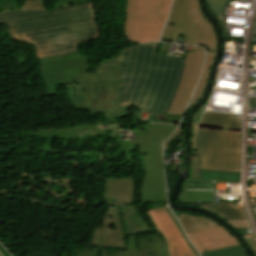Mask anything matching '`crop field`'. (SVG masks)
<instances>
[{
  "mask_svg": "<svg viewBox=\"0 0 256 256\" xmlns=\"http://www.w3.org/2000/svg\"><path fill=\"white\" fill-rule=\"evenodd\" d=\"M182 131L183 127L179 126V128L174 132V134L167 140V142L164 144V154L171 147L172 142H174L176 138L180 137Z\"/></svg>",
  "mask_w": 256,
  "mask_h": 256,
  "instance_id": "23",
  "label": "crop field"
},
{
  "mask_svg": "<svg viewBox=\"0 0 256 256\" xmlns=\"http://www.w3.org/2000/svg\"><path fill=\"white\" fill-rule=\"evenodd\" d=\"M204 49L192 46L191 52L187 53L186 64L179 86L194 87L203 64Z\"/></svg>",
  "mask_w": 256,
  "mask_h": 256,
  "instance_id": "13",
  "label": "crop field"
},
{
  "mask_svg": "<svg viewBox=\"0 0 256 256\" xmlns=\"http://www.w3.org/2000/svg\"><path fill=\"white\" fill-rule=\"evenodd\" d=\"M179 220L186 233L218 226L217 223L211 220L195 216H189L186 214H181Z\"/></svg>",
  "mask_w": 256,
  "mask_h": 256,
  "instance_id": "18",
  "label": "crop field"
},
{
  "mask_svg": "<svg viewBox=\"0 0 256 256\" xmlns=\"http://www.w3.org/2000/svg\"><path fill=\"white\" fill-rule=\"evenodd\" d=\"M21 9H46L43 0H26Z\"/></svg>",
  "mask_w": 256,
  "mask_h": 256,
  "instance_id": "22",
  "label": "crop field"
},
{
  "mask_svg": "<svg viewBox=\"0 0 256 256\" xmlns=\"http://www.w3.org/2000/svg\"><path fill=\"white\" fill-rule=\"evenodd\" d=\"M201 256H247L241 245L201 253Z\"/></svg>",
  "mask_w": 256,
  "mask_h": 256,
  "instance_id": "21",
  "label": "crop field"
},
{
  "mask_svg": "<svg viewBox=\"0 0 256 256\" xmlns=\"http://www.w3.org/2000/svg\"><path fill=\"white\" fill-rule=\"evenodd\" d=\"M94 68L99 71L97 74L87 72L65 84L70 105L77 110L104 114L105 120L125 115L131 107H120L118 53Z\"/></svg>",
  "mask_w": 256,
  "mask_h": 256,
  "instance_id": "4",
  "label": "crop field"
},
{
  "mask_svg": "<svg viewBox=\"0 0 256 256\" xmlns=\"http://www.w3.org/2000/svg\"><path fill=\"white\" fill-rule=\"evenodd\" d=\"M0 23L8 24L13 38L34 46L37 60L79 50V44L99 39L101 33L92 3L52 11L0 12Z\"/></svg>",
  "mask_w": 256,
  "mask_h": 256,
  "instance_id": "1",
  "label": "crop field"
},
{
  "mask_svg": "<svg viewBox=\"0 0 256 256\" xmlns=\"http://www.w3.org/2000/svg\"><path fill=\"white\" fill-rule=\"evenodd\" d=\"M179 34L184 35V45L199 44L216 52L215 31L203 17L198 0H175L161 40L174 43Z\"/></svg>",
  "mask_w": 256,
  "mask_h": 256,
  "instance_id": "6",
  "label": "crop field"
},
{
  "mask_svg": "<svg viewBox=\"0 0 256 256\" xmlns=\"http://www.w3.org/2000/svg\"><path fill=\"white\" fill-rule=\"evenodd\" d=\"M192 160H193V165H192L190 178L199 179V170H200L199 157H192Z\"/></svg>",
  "mask_w": 256,
  "mask_h": 256,
  "instance_id": "24",
  "label": "crop field"
},
{
  "mask_svg": "<svg viewBox=\"0 0 256 256\" xmlns=\"http://www.w3.org/2000/svg\"><path fill=\"white\" fill-rule=\"evenodd\" d=\"M175 127L176 125L153 123L139 130L140 141L137 150L144 164L142 202L166 201L161 144Z\"/></svg>",
  "mask_w": 256,
  "mask_h": 256,
  "instance_id": "5",
  "label": "crop field"
},
{
  "mask_svg": "<svg viewBox=\"0 0 256 256\" xmlns=\"http://www.w3.org/2000/svg\"><path fill=\"white\" fill-rule=\"evenodd\" d=\"M165 208H166V211H167V213L169 214V216H170V217L172 218V220L174 221L176 227L178 228V230H179V231L181 232V234L183 235V237H184V239L186 240L188 246L191 248V250L194 252V254H195L196 256H199V255L196 253V251L193 249V247L190 245V243L188 242V240H187V238H186L184 232L182 231V229H181V227L179 226L178 222L176 221L175 217L171 214L169 208L166 207V206H165Z\"/></svg>",
  "mask_w": 256,
  "mask_h": 256,
  "instance_id": "27",
  "label": "crop field"
},
{
  "mask_svg": "<svg viewBox=\"0 0 256 256\" xmlns=\"http://www.w3.org/2000/svg\"><path fill=\"white\" fill-rule=\"evenodd\" d=\"M193 89L194 88H188V87L178 88L177 95L167 113L166 120L180 122V119L184 113L186 104L190 99Z\"/></svg>",
  "mask_w": 256,
  "mask_h": 256,
  "instance_id": "15",
  "label": "crop field"
},
{
  "mask_svg": "<svg viewBox=\"0 0 256 256\" xmlns=\"http://www.w3.org/2000/svg\"><path fill=\"white\" fill-rule=\"evenodd\" d=\"M157 51L158 43H148L119 52L121 106L167 113L177 92L185 59Z\"/></svg>",
  "mask_w": 256,
  "mask_h": 256,
  "instance_id": "2",
  "label": "crop field"
},
{
  "mask_svg": "<svg viewBox=\"0 0 256 256\" xmlns=\"http://www.w3.org/2000/svg\"><path fill=\"white\" fill-rule=\"evenodd\" d=\"M127 250L115 253H106L102 247L93 246L89 250L79 252L78 256H166V245L158 234L150 235L149 238L139 240L138 245H134V238H130ZM72 245H69L63 256H68Z\"/></svg>",
  "mask_w": 256,
  "mask_h": 256,
  "instance_id": "11",
  "label": "crop field"
},
{
  "mask_svg": "<svg viewBox=\"0 0 256 256\" xmlns=\"http://www.w3.org/2000/svg\"><path fill=\"white\" fill-rule=\"evenodd\" d=\"M133 180L106 178L101 198L107 201L106 210L101 228L93 229L90 245L126 249L125 235L153 232L141 212L136 210Z\"/></svg>",
  "mask_w": 256,
  "mask_h": 256,
  "instance_id": "3",
  "label": "crop field"
},
{
  "mask_svg": "<svg viewBox=\"0 0 256 256\" xmlns=\"http://www.w3.org/2000/svg\"><path fill=\"white\" fill-rule=\"evenodd\" d=\"M195 147L201 169L240 172L241 132L198 128Z\"/></svg>",
  "mask_w": 256,
  "mask_h": 256,
  "instance_id": "7",
  "label": "crop field"
},
{
  "mask_svg": "<svg viewBox=\"0 0 256 256\" xmlns=\"http://www.w3.org/2000/svg\"><path fill=\"white\" fill-rule=\"evenodd\" d=\"M85 57L76 51L38 61L43 80L48 90L46 94H55L57 86L63 85L90 70L91 67Z\"/></svg>",
  "mask_w": 256,
  "mask_h": 256,
  "instance_id": "9",
  "label": "crop field"
},
{
  "mask_svg": "<svg viewBox=\"0 0 256 256\" xmlns=\"http://www.w3.org/2000/svg\"><path fill=\"white\" fill-rule=\"evenodd\" d=\"M157 233L167 245L168 256H195L186 245L182 235L167 215L165 208L146 211Z\"/></svg>",
  "mask_w": 256,
  "mask_h": 256,
  "instance_id": "10",
  "label": "crop field"
},
{
  "mask_svg": "<svg viewBox=\"0 0 256 256\" xmlns=\"http://www.w3.org/2000/svg\"><path fill=\"white\" fill-rule=\"evenodd\" d=\"M234 229L250 228L248 220H226Z\"/></svg>",
  "mask_w": 256,
  "mask_h": 256,
  "instance_id": "25",
  "label": "crop field"
},
{
  "mask_svg": "<svg viewBox=\"0 0 256 256\" xmlns=\"http://www.w3.org/2000/svg\"><path fill=\"white\" fill-rule=\"evenodd\" d=\"M214 57H215V52H207L206 63L204 65L203 74H202V77L198 83V86L193 94V97L188 106L187 112L197 101H199L201 99V96H202L203 92L205 91L206 82L210 75V68H211L212 61H213ZM187 112H186V114H187ZM183 121H184V118H183ZM183 121H182V123H183Z\"/></svg>",
  "mask_w": 256,
  "mask_h": 256,
  "instance_id": "17",
  "label": "crop field"
},
{
  "mask_svg": "<svg viewBox=\"0 0 256 256\" xmlns=\"http://www.w3.org/2000/svg\"><path fill=\"white\" fill-rule=\"evenodd\" d=\"M200 179L221 180L240 183V173L201 170Z\"/></svg>",
  "mask_w": 256,
  "mask_h": 256,
  "instance_id": "19",
  "label": "crop field"
},
{
  "mask_svg": "<svg viewBox=\"0 0 256 256\" xmlns=\"http://www.w3.org/2000/svg\"><path fill=\"white\" fill-rule=\"evenodd\" d=\"M0 256H4V255L1 253V251H0Z\"/></svg>",
  "mask_w": 256,
  "mask_h": 256,
  "instance_id": "30",
  "label": "crop field"
},
{
  "mask_svg": "<svg viewBox=\"0 0 256 256\" xmlns=\"http://www.w3.org/2000/svg\"><path fill=\"white\" fill-rule=\"evenodd\" d=\"M204 208L223 219H247L243 208H238L232 202H221L220 205L192 204Z\"/></svg>",
  "mask_w": 256,
  "mask_h": 256,
  "instance_id": "14",
  "label": "crop field"
},
{
  "mask_svg": "<svg viewBox=\"0 0 256 256\" xmlns=\"http://www.w3.org/2000/svg\"><path fill=\"white\" fill-rule=\"evenodd\" d=\"M172 1L127 0L123 21L125 37L137 43L158 41Z\"/></svg>",
  "mask_w": 256,
  "mask_h": 256,
  "instance_id": "8",
  "label": "crop field"
},
{
  "mask_svg": "<svg viewBox=\"0 0 256 256\" xmlns=\"http://www.w3.org/2000/svg\"><path fill=\"white\" fill-rule=\"evenodd\" d=\"M243 238L249 243L250 247L256 254V237L255 234L244 235Z\"/></svg>",
  "mask_w": 256,
  "mask_h": 256,
  "instance_id": "28",
  "label": "crop field"
},
{
  "mask_svg": "<svg viewBox=\"0 0 256 256\" xmlns=\"http://www.w3.org/2000/svg\"><path fill=\"white\" fill-rule=\"evenodd\" d=\"M17 1L16 0H5L0 2V11L2 10H10L17 9L16 8Z\"/></svg>",
  "mask_w": 256,
  "mask_h": 256,
  "instance_id": "26",
  "label": "crop field"
},
{
  "mask_svg": "<svg viewBox=\"0 0 256 256\" xmlns=\"http://www.w3.org/2000/svg\"><path fill=\"white\" fill-rule=\"evenodd\" d=\"M83 1H89V0H71V2L67 3V0L65 1H59V3L52 5L53 8H56V7H60V6H63V5H66V4H73V3H78V2H83Z\"/></svg>",
  "mask_w": 256,
  "mask_h": 256,
  "instance_id": "29",
  "label": "crop field"
},
{
  "mask_svg": "<svg viewBox=\"0 0 256 256\" xmlns=\"http://www.w3.org/2000/svg\"><path fill=\"white\" fill-rule=\"evenodd\" d=\"M208 4L211 12L213 13L217 21L220 23L226 39L229 38L228 32L222 20V17L228 4V0H208Z\"/></svg>",
  "mask_w": 256,
  "mask_h": 256,
  "instance_id": "20",
  "label": "crop field"
},
{
  "mask_svg": "<svg viewBox=\"0 0 256 256\" xmlns=\"http://www.w3.org/2000/svg\"><path fill=\"white\" fill-rule=\"evenodd\" d=\"M187 235L199 253L240 244L235 237L221 226Z\"/></svg>",
  "mask_w": 256,
  "mask_h": 256,
  "instance_id": "12",
  "label": "crop field"
},
{
  "mask_svg": "<svg viewBox=\"0 0 256 256\" xmlns=\"http://www.w3.org/2000/svg\"><path fill=\"white\" fill-rule=\"evenodd\" d=\"M201 124L219 125L225 128L241 129L242 121L235 119L233 115L218 112H205Z\"/></svg>",
  "mask_w": 256,
  "mask_h": 256,
  "instance_id": "16",
  "label": "crop field"
}]
</instances>
